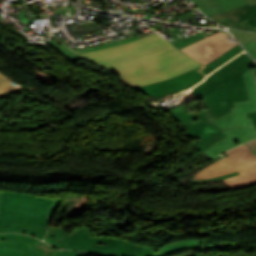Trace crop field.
I'll use <instances>...</instances> for the list:
<instances>
[{
    "label": "crop field",
    "instance_id": "8a807250",
    "mask_svg": "<svg viewBox=\"0 0 256 256\" xmlns=\"http://www.w3.org/2000/svg\"><path fill=\"white\" fill-rule=\"evenodd\" d=\"M242 51L238 44L204 67L154 33L137 41L80 55L119 73L128 86L160 97L194 86Z\"/></svg>",
    "mask_w": 256,
    "mask_h": 256
},
{
    "label": "crop field",
    "instance_id": "ac0d7876",
    "mask_svg": "<svg viewBox=\"0 0 256 256\" xmlns=\"http://www.w3.org/2000/svg\"><path fill=\"white\" fill-rule=\"evenodd\" d=\"M252 62L243 53L192 89L205 97L207 109L214 119L230 112L234 107L232 102L248 99L241 73L252 68Z\"/></svg>",
    "mask_w": 256,
    "mask_h": 256
},
{
    "label": "crop field",
    "instance_id": "34b2d1b8",
    "mask_svg": "<svg viewBox=\"0 0 256 256\" xmlns=\"http://www.w3.org/2000/svg\"><path fill=\"white\" fill-rule=\"evenodd\" d=\"M242 75L249 100L234 103L235 108L231 109L232 112L216 120L212 117L209 118L212 123L228 136L203 151L213 158L236 145L256 138V130L252 120L247 119L245 114V112L256 111V82L253 69L242 73Z\"/></svg>",
    "mask_w": 256,
    "mask_h": 256
},
{
    "label": "crop field",
    "instance_id": "412701ff",
    "mask_svg": "<svg viewBox=\"0 0 256 256\" xmlns=\"http://www.w3.org/2000/svg\"><path fill=\"white\" fill-rule=\"evenodd\" d=\"M45 242L59 249L92 251L106 256H166L155 254L152 248L114 239L92 237L86 227L66 234L62 229L49 226Z\"/></svg>",
    "mask_w": 256,
    "mask_h": 256
},
{
    "label": "crop field",
    "instance_id": "f4fd0767",
    "mask_svg": "<svg viewBox=\"0 0 256 256\" xmlns=\"http://www.w3.org/2000/svg\"><path fill=\"white\" fill-rule=\"evenodd\" d=\"M226 153L230 156L201 170L193 180L212 178L239 171L241 175L224 180L230 190L256 184V155L245 144Z\"/></svg>",
    "mask_w": 256,
    "mask_h": 256
},
{
    "label": "crop field",
    "instance_id": "dd49c442",
    "mask_svg": "<svg viewBox=\"0 0 256 256\" xmlns=\"http://www.w3.org/2000/svg\"><path fill=\"white\" fill-rule=\"evenodd\" d=\"M53 199L4 191L0 207V224L20 223L48 227L46 217Z\"/></svg>",
    "mask_w": 256,
    "mask_h": 256
},
{
    "label": "crop field",
    "instance_id": "e52e79f7",
    "mask_svg": "<svg viewBox=\"0 0 256 256\" xmlns=\"http://www.w3.org/2000/svg\"><path fill=\"white\" fill-rule=\"evenodd\" d=\"M169 113L183 126L188 128L185 135L187 138L202 137L203 140L193 143L202 151L212 143L226 137L207 119L210 117L207 109L187 114L186 105H180L169 111Z\"/></svg>",
    "mask_w": 256,
    "mask_h": 256
},
{
    "label": "crop field",
    "instance_id": "d8731c3e",
    "mask_svg": "<svg viewBox=\"0 0 256 256\" xmlns=\"http://www.w3.org/2000/svg\"><path fill=\"white\" fill-rule=\"evenodd\" d=\"M201 44H203V46H201ZM236 44L238 43L232 37L218 32L181 49V51L205 65L221 56Z\"/></svg>",
    "mask_w": 256,
    "mask_h": 256
},
{
    "label": "crop field",
    "instance_id": "5a996713",
    "mask_svg": "<svg viewBox=\"0 0 256 256\" xmlns=\"http://www.w3.org/2000/svg\"><path fill=\"white\" fill-rule=\"evenodd\" d=\"M210 18L226 27L256 31L249 28L256 26V5L250 6L249 3Z\"/></svg>",
    "mask_w": 256,
    "mask_h": 256
},
{
    "label": "crop field",
    "instance_id": "3316defc",
    "mask_svg": "<svg viewBox=\"0 0 256 256\" xmlns=\"http://www.w3.org/2000/svg\"><path fill=\"white\" fill-rule=\"evenodd\" d=\"M0 240H14V241L29 243L31 244L29 247L43 253L45 256H88V255L101 256V255H97L89 252H82V251L55 250L40 240L31 238L29 236H25L22 234H15V233L0 234Z\"/></svg>",
    "mask_w": 256,
    "mask_h": 256
},
{
    "label": "crop field",
    "instance_id": "28ad6ade",
    "mask_svg": "<svg viewBox=\"0 0 256 256\" xmlns=\"http://www.w3.org/2000/svg\"><path fill=\"white\" fill-rule=\"evenodd\" d=\"M207 17L247 3L246 0H191Z\"/></svg>",
    "mask_w": 256,
    "mask_h": 256
},
{
    "label": "crop field",
    "instance_id": "d1516ede",
    "mask_svg": "<svg viewBox=\"0 0 256 256\" xmlns=\"http://www.w3.org/2000/svg\"><path fill=\"white\" fill-rule=\"evenodd\" d=\"M7 225H0V232H18V233H26L28 235L37 237L43 240L46 230L45 228L31 226V225H20V224H8Z\"/></svg>",
    "mask_w": 256,
    "mask_h": 256
},
{
    "label": "crop field",
    "instance_id": "22f410ed",
    "mask_svg": "<svg viewBox=\"0 0 256 256\" xmlns=\"http://www.w3.org/2000/svg\"><path fill=\"white\" fill-rule=\"evenodd\" d=\"M201 248L200 240H190V241H183L177 242L170 245L165 246L161 250L157 251L158 253H166L167 255L179 252L181 250L187 249H196Z\"/></svg>",
    "mask_w": 256,
    "mask_h": 256
},
{
    "label": "crop field",
    "instance_id": "cbeb9de0",
    "mask_svg": "<svg viewBox=\"0 0 256 256\" xmlns=\"http://www.w3.org/2000/svg\"><path fill=\"white\" fill-rule=\"evenodd\" d=\"M29 244L13 242V241H0V248H14L25 251L21 256H44L41 253L28 247Z\"/></svg>",
    "mask_w": 256,
    "mask_h": 256
},
{
    "label": "crop field",
    "instance_id": "5142ce71",
    "mask_svg": "<svg viewBox=\"0 0 256 256\" xmlns=\"http://www.w3.org/2000/svg\"><path fill=\"white\" fill-rule=\"evenodd\" d=\"M23 87L0 73V93Z\"/></svg>",
    "mask_w": 256,
    "mask_h": 256
},
{
    "label": "crop field",
    "instance_id": "d9b57169",
    "mask_svg": "<svg viewBox=\"0 0 256 256\" xmlns=\"http://www.w3.org/2000/svg\"><path fill=\"white\" fill-rule=\"evenodd\" d=\"M241 43L256 40V33L243 32V31H230Z\"/></svg>",
    "mask_w": 256,
    "mask_h": 256
},
{
    "label": "crop field",
    "instance_id": "733c2abd",
    "mask_svg": "<svg viewBox=\"0 0 256 256\" xmlns=\"http://www.w3.org/2000/svg\"><path fill=\"white\" fill-rule=\"evenodd\" d=\"M51 47H53L56 51H58L61 55H63L65 58L69 59L73 63L77 60L74 57H72L70 54H68L66 51H64L59 45H57L52 39H50L48 43Z\"/></svg>",
    "mask_w": 256,
    "mask_h": 256
},
{
    "label": "crop field",
    "instance_id": "4a817a6b",
    "mask_svg": "<svg viewBox=\"0 0 256 256\" xmlns=\"http://www.w3.org/2000/svg\"><path fill=\"white\" fill-rule=\"evenodd\" d=\"M243 46L252 57L256 58V41L244 43Z\"/></svg>",
    "mask_w": 256,
    "mask_h": 256
},
{
    "label": "crop field",
    "instance_id": "bc2a9ffb",
    "mask_svg": "<svg viewBox=\"0 0 256 256\" xmlns=\"http://www.w3.org/2000/svg\"><path fill=\"white\" fill-rule=\"evenodd\" d=\"M23 252L13 249H0V255L4 256H20Z\"/></svg>",
    "mask_w": 256,
    "mask_h": 256
},
{
    "label": "crop field",
    "instance_id": "214f88e0",
    "mask_svg": "<svg viewBox=\"0 0 256 256\" xmlns=\"http://www.w3.org/2000/svg\"><path fill=\"white\" fill-rule=\"evenodd\" d=\"M239 172L236 173H232L229 175H225V176H221V177H216V178H212V179H207V180H201V181H190V183H205V182H212V181H216V180H220V179H225L234 175H238Z\"/></svg>",
    "mask_w": 256,
    "mask_h": 256
},
{
    "label": "crop field",
    "instance_id": "92a150f3",
    "mask_svg": "<svg viewBox=\"0 0 256 256\" xmlns=\"http://www.w3.org/2000/svg\"><path fill=\"white\" fill-rule=\"evenodd\" d=\"M61 200H62V199H60V198L54 199L53 205H52L51 210H50V213H49V215H48L49 219L52 218V215H53V213H54V210L57 209V207H58V205L60 204Z\"/></svg>",
    "mask_w": 256,
    "mask_h": 256
},
{
    "label": "crop field",
    "instance_id": "dafd665d",
    "mask_svg": "<svg viewBox=\"0 0 256 256\" xmlns=\"http://www.w3.org/2000/svg\"><path fill=\"white\" fill-rule=\"evenodd\" d=\"M246 145L256 154V140L250 141Z\"/></svg>",
    "mask_w": 256,
    "mask_h": 256
},
{
    "label": "crop field",
    "instance_id": "00972430",
    "mask_svg": "<svg viewBox=\"0 0 256 256\" xmlns=\"http://www.w3.org/2000/svg\"><path fill=\"white\" fill-rule=\"evenodd\" d=\"M246 114H247L248 118H252L253 123H254L255 128H256V112H254V113H246Z\"/></svg>",
    "mask_w": 256,
    "mask_h": 256
},
{
    "label": "crop field",
    "instance_id": "a9b5d70f",
    "mask_svg": "<svg viewBox=\"0 0 256 256\" xmlns=\"http://www.w3.org/2000/svg\"><path fill=\"white\" fill-rule=\"evenodd\" d=\"M248 1H249L250 5L256 4V0H248Z\"/></svg>",
    "mask_w": 256,
    "mask_h": 256
},
{
    "label": "crop field",
    "instance_id": "4177f3b9",
    "mask_svg": "<svg viewBox=\"0 0 256 256\" xmlns=\"http://www.w3.org/2000/svg\"><path fill=\"white\" fill-rule=\"evenodd\" d=\"M2 194H3V193L0 192V202H1Z\"/></svg>",
    "mask_w": 256,
    "mask_h": 256
},
{
    "label": "crop field",
    "instance_id": "730fd06b",
    "mask_svg": "<svg viewBox=\"0 0 256 256\" xmlns=\"http://www.w3.org/2000/svg\"><path fill=\"white\" fill-rule=\"evenodd\" d=\"M254 71H255V75H256V66H255V69H254Z\"/></svg>",
    "mask_w": 256,
    "mask_h": 256
},
{
    "label": "crop field",
    "instance_id": "eef30255",
    "mask_svg": "<svg viewBox=\"0 0 256 256\" xmlns=\"http://www.w3.org/2000/svg\"><path fill=\"white\" fill-rule=\"evenodd\" d=\"M252 28H256V27H252Z\"/></svg>",
    "mask_w": 256,
    "mask_h": 256
}]
</instances>
